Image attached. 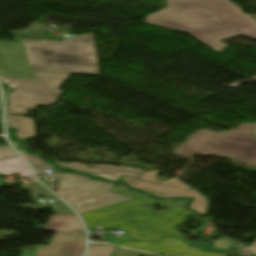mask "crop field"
<instances>
[{
    "instance_id": "8a807250",
    "label": "crop field",
    "mask_w": 256,
    "mask_h": 256,
    "mask_svg": "<svg viewBox=\"0 0 256 256\" xmlns=\"http://www.w3.org/2000/svg\"><path fill=\"white\" fill-rule=\"evenodd\" d=\"M173 30L188 33L220 52L221 39L242 34L256 22L228 0H167Z\"/></svg>"
},
{
    "instance_id": "ac0d7876",
    "label": "crop field",
    "mask_w": 256,
    "mask_h": 256,
    "mask_svg": "<svg viewBox=\"0 0 256 256\" xmlns=\"http://www.w3.org/2000/svg\"><path fill=\"white\" fill-rule=\"evenodd\" d=\"M140 204L152 203L135 199L83 213L82 216L88 227L100 224L111 229L119 226L133 240L158 241L163 236L183 238L176 229L187 217L183 211L176 208L159 216L149 209L137 207Z\"/></svg>"
},
{
    "instance_id": "34b2d1b8",
    "label": "crop field",
    "mask_w": 256,
    "mask_h": 256,
    "mask_svg": "<svg viewBox=\"0 0 256 256\" xmlns=\"http://www.w3.org/2000/svg\"><path fill=\"white\" fill-rule=\"evenodd\" d=\"M22 41L32 70L100 76L92 34L59 41Z\"/></svg>"
},
{
    "instance_id": "412701ff",
    "label": "crop field",
    "mask_w": 256,
    "mask_h": 256,
    "mask_svg": "<svg viewBox=\"0 0 256 256\" xmlns=\"http://www.w3.org/2000/svg\"><path fill=\"white\" fill-rule=\"evenodd\" d=\"M254 125L241 123L238 130L231 129L225 133L195 132L174 153L185 158L194 154L228 157L256 168V136L251 135Z\"/></svg>"
},
{
    "instance_id": "f4fd0767",
    "label": "crop field",
    "mask_w": 256,
    "mask_h": 256,
    "mask_svg": "<svg viewBox=\"0 0 256 256\" xmlns=\"http://www.w3.org/2000/svg\"><path fill=\"white\" fill-rule=\"evenodd\" d=\"M58 175V193L79 213L104 206L132 200L121 195L108 192L113 184L92 181L80 174L60 173ZM62 176V178H59Z\"/></svg>"
},
{
    "instance_id": "dd49c442",
    "label": "crop field",
    "mask_w": 256,
    "mask_h": 256,
    "mask_svg": "<svg viewBox=\"0 0 256 256\" xmlns=\"http://www.w3.org/2000/svg\"><path fill=\"white\" fill-rule=\"evenodd\" d=\"M2 83L17 89L8 98V114H26L25 109H36L35 105H51L57 97L34 80L0 77ZM21 106L20 108L16 107Z\"/></svg>"
},
{
    "instance_id": "e52e79f7",
    "label": "crop field",
    "mask_w": 256,
    "mask_h": 256,
    "mask_svg": "<svg viewBox=\"0 0 256 256\" xmlns=\"http://www.w3.org/2000/svg\"><path fill=\"white\" fill-rule=\"evenodd\" d=\"M49 246H35L33 251L24 248L21 256H81L84 251V235L78 233H56ZM46 247L47 250H44ZM50 248V249H48Z\"/></svg>"
},
{
    "instance_id": "d8731c3e",
    "label": "crop field",
    "mask_w": 256,
    "mask_h": 256,
    "mask_svg": "<svg viewBox=\"0 0 256 256\" xmlns=\"http://www.w3.org/2000/svg\"><path fill=\"white\" fill-rule=\"evenodd\" d=\"M119 245L147 252L173 256H225L224 254H217L213 252H201L194 247L188 246L182 240L172 238H164L160 243L130 242Z\"/></svg>"
},
{
    "instance_id": "5a996713",
    "label": "crop field",
    "mask_w": 256,
    "mask_h": 256,
    "mask_svg": "<svg viewBox=\"0 0 256 256\" xmlns=\"http://www.w3.org/2000/svg\"><path fill=\"white\" fill-rule=\"evenodd\" d=\"M121 179L124 181L121 183H125L129 186H133L144 191H147L157 197L160 198H169V197H191L194 199L193 203L189 206L190 208L196 210L201 215L204 214L205 209V200L203 197L198 195L195 191H185L173 187H168L160 184H155L143 180H138L130 177L123 176Z\"/></svg>"
},
{
    "instance_id": "3316defc",
    "label": "crop field",
    "mask_w": 256,
    "mask_h": 256,
    "mask_svg": "<svg viewBox=\"0 0 256 256\" xmlns=\"http://www.w3.org/2000/svg\"><path fill=\"white\" fill-rule=\"evenodd\" d=\"M60 165V167L70 168L79 172H83L89 175L105 178L112 181H119V179L123 176H130L134 178L141 179L142 175L145 171H141L139 169H131V168H118L117 166H109V165H93L92 168L85 167L86 165L92 164H77V163H56Z\"/></svg>"
},
{
    "instance_id": "28ad6ade",
    "label": "crop field",
    "mask_w": 256,
    "mask_h": 256,
    "mask_svg": "<svg viewBox=\"0 0 256 256\" xmlns=\"http://www.w3.org/2000/svg\"><path fill=\"white\" fill-rule=\"evenodd\" d=\"M45 230L66 231V232H84L83 227L77 216H56L52 215Z\"/></svg>"
},
{
    "instance_id": "d1516ede",
    "label": "crop field",
    "mask_w": 256,
    "mask_h": 256,
    "mask_svg": "<svg viewBox=\"0 0 256 256\" xmlns=\"http://www.w3.org/2000/svg\"><path fill=\"white\" fill-rule=\"evenodd\" d=\"M34 78L45 88L50 90L56 96H61L64 94L58 89L64 84V82L70 77L65 74H55V73H46V72H36L32 71Z\"/></svg>"
},
{
    "instance_id": "22f410ed",
    "label": "crop field",
    "mask_w": 256,
    "mask_h": 256,
    "mask_svg": "<svg viewBox=\"0 0 256 256\" xmlns=\"http://www.w3.org/2000/svg\"><path fill=\"white\" fill-rule=\"evenodd\" d=\"M110 192H114V193H117V194H121V195H124V196H127V197H131V198H138V199H142V200H146V201H149L150 199H152L151 197H149L148 195L146 194H143V193H139V192H136L132 189H129L127 187H124V186H121V185H118L116 184L111 190ZM150 202H156V203H163V204H169V205H172L174 207H178L180 209H182L185 214L188 216L191 214L190 211H186L184 210L182 207L184 206V204L186 202H188V200L186 201H170V200H166V201H158V200H152ZM183 212V213H184Z\"/></svg>"
},
{
    "instance_id": "cbeb9de0",
    "label": "crop field",
    "mask_w": 256,
    "mask_h": 256,
    "mask_svg": "<svg viewBox=\"0 0 256 256\" xmlns=\"http://www.w3.org/2000/svg\"><path fill=\"white\" fill-rule=\"evenodd\" d=\"M9 128L17 129L15 133L19 139L35 136L33 120L18 116H8Z\"/></svg>"
},
{
    "instance_id": "5142ce71",
    "label": "crop field",
    "mask_w": 256,
    "mask_h": 256,
    "mask_svg": "<svg viewBox=\"0 0 256 256\" xmlns=\"http://www.w3.org/2000/svg\"><path fill=\"white\" fill-rule=\"evenodd\" d=\"M145 20L152 25L171 28L166 8L146 17Z\"/></svg>"
},
{
    "instance_id": "d9b57169",
    "label": "crop field",
    "mask_w": 256,
    "mask_h": 256,
    "mask_svg": "<svg viewBox=\"0 0 256 256\" xmlns=\"http://www.w3.org/2000/svg\"><path fill=\"white\" fill-rule=\"evenodd\" d=\"M157 173H158L157 171L145 172L142 179L147 180V181H151V182H155V183H160V184H164V185H168V186H173V187L189 190V188H187L186 186H184L183 184L178 182L175 178L170 180V181H167V182H159V181L154 180V175L157 174Z\"/></svg>"
},
{
    "instance_id": "733c2abd",
    "label": "crop field",
    "mask_w": 256,
    "mask_h": 256,
    "mask_svg": "<svg viewBox=\"0 0 256 256\" xmlns=\"http://www.w3.org/2000/svg\"><path fill=\"white\" fill-rule=\"evenodd\" d=\"M20 153L35 167L37 174L45 173L43 170L53 168L51 165H45V162L37 158L36 156L25 155L22 151Z\"/></svg>"
},
{
    "instance_id": "4a817a6b",
    "label": "crop field",
    "mask_w": 256,
    "mask_h": 256,
    "mask_svg": "<svg viewBox=\"0 0 256 256\" xmlns=\"http://www.w3.org/2000/svg\"><path fill=\"white\" fill-rule=\"evenodd\" d=\"M114 246H90L86 256H110Z\"/></svg>"
},
{
    "instance_id": "bc2a9ffb",
    "label": "crop field",
    "mask_w": 256,
    "mask_h": 256,
    "mask_svg": "<svg viewBox=\"0 0 256 256\" xmlns=\"http://www.w3.org/2000/svg\"><path fill=\"white\" fill-rule=\"evenodd\" d=\"M0 172L4 175L8 174H14V173H20L24 172L28 177L33 176L27 165L24 166H18V167H13V168H8V169H2Z\"/></svg>"
},
{
    "instance_id": "214f88e0",
    "label": "crop field",
    "mask_w": 256,
    "mask_h": 256,
    "mask_svg": "<svg viewBox=\"0 0 256 256\" xmlns=\"http://www.w3.org/2000/svg\"><path fill=\"white\" fill-rule=\"evenodd\" d=\"M25 163L21 158L17 159H11V160H6V161H0V169L2 168H7V167H13V166H18V165H24Z\"/></svg>"
},
{
    "instance_id": "92a150f3",
    "label": "crop field",
    "mask_w": 256,
    "mask_h": 256,
    "mask_svg": "<svg viewBox=\"0 0 256 256\" xmlns=\"http://www.w3.org/2000/svg\"><path fill=\"white\" fill-rule=\"evenodd\" d=\"M17 156L9 147L0 148V159Z\"/></svg>"
},
{
    "instance_id": "dafd665d",
    "label": "crop field",
    "mask_w": 256,
    "mask_h": 256,
    "mask_svg": "<svg viewBox=\"0 0 256 256\" xmlns=\"http://www.w3.org/2000/svg\"><path fill=\"white\" fill-rule=\"evenodd\" d=\"M242 35H246V36H249V37H252V38H256V27L253 28L252 30L242 34Z\"/></svg>"
},
{
    "instance_id": "00972430",
    "label": "crop field",
    "mask_w": 256,
    "mask_h": 256,
    "mask_svg": "<svg viewBox=\"0 0 256 256\" xmlns=\"http://www.w3.org/2000/svg\"><path fill=\"white\" fill-rule=\"evenodd\" d=\"M48 188H50L51 190L55 191L56 190V183L54 184H50V185H46Z\"/></svg>"
},
{
    "instance_id": "a9b5d70f",
    "label": "crop field",
    "mask_w": 256,
    "mask_h": 256,
    "mask_svg": "<svg viewBox=\"0 0 256 256\" xmlns=\"http://www.w3.org/2000/svg\"><path fill=\"white\" fill-rule=\"evenodd\" d=\"M249 248L256 252V241Z\"/></svg>"
},
{
    "instance_id": "4177f3b9",
    "label": "crop field",
    "mask_w": 256,
    "mask_h": 256,
    "mask_svg": "<svg viewBox=\"0 0 256 256\" xmlns=\"http://www.w3.org/2000/svg\"><path fill=\"white\" fill-rule=\"evenodd\" d=\"M253 133H256V125H255V128H254V131H253Z\"/></svg>"
},
{
    "instance_id": "730fd06b",
    "label": "crop field",
    "mask_w": 256,
    "mask_h": 256,
    "mask_svg": "<svg viewBox=\"0 0 256 256\" xmlns=\"http://www.w3.org/2000/svg\"><path fill=\"white\" fill-rule=\"evenodd\" d=\"M0 105H1V100H0Z\"/></svg>"
}]
</instances>
